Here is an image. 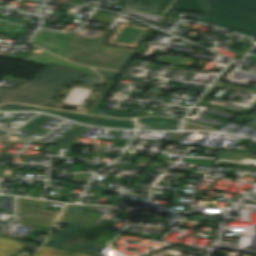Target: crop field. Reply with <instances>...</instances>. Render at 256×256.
<instances>
[{
    "mask_svg": "<svg viewBox=\"0 0 256 256\" xmlns=\"http://www.w3.org/2000/svg\"><path fill=\"white\" fill-rule=\"evenodd\" d=\"M85 74L50 64L15 91L0 88V104L2 102H19L47 107L55 92L65 88Z\"/></svg>",
    "mask_w": 256,
    "mask_h": 256,
    "instance_id": "1",
    "label": "crop field"
},
{
    "mask_svg": "<svg viewBox=\"0 0 256 256\" xmlns=\"http://www.w3.org/2000/svg\"><path fill=\"white\" fill-rule=\"evenodd\" d=\"M209 10L198 20L246 36H256V0H205Z\"/></svg>",
    "mask_w": 256,
    "mask_h": 256,
    "instance_id": "2",
    "label": "crop field"
},
{
    "mask_svg": "<svg viewBox=\"0 0 256 256\" xmlns=\"http://www.w3.org/2000/svg\"><path fill=\"white\" fill-rule=\"evenodd\" d=\"M84 208L80 205H66L58 223L67 225L54 241L48 240L46 244L105 256L109 248L78 236L91 214L84 212Z\"/></svg>",
    "mask_w": 256,
    "mask_h": 256,
    "instance_id": "3",
    "label": "crop field"
},
{
    "mask_svg": "<svg viewBox=\"0 0 256 256\" xmlns=\"http://www.w3.org/2000/svg\"><path fill=\"white\" fill-rule=\"evenodd\" d=\"M47 202L20 198L16 222L37 225L33 232L49 234L60 212L43 210Z\"/></svg>",
    "mask_w": 256,
    "mask_h": 256,
    "instance_id": "4",
    "label": "crop field"
},
{
    "mask_svg": "<svg viewBox=\"0 0 256 256\" xmlns=\"http://www.w3.org/2000/svg\"><path fill=\"white\" fill-rule=\"evenodd\" d=\"M73 37V34L55 33L41 30L37 33L31 43L64 57L80 50V48L68 47Z\"/></svg>",
    "mask_w": 256,
    "mask_h": 256,
    "instance_id": "5",
    "label": "crop field"
},
{
    "mask_svg": "<svg viewBox=\"0 0 256 256\" xmlns=\"http://www.w3.org/2000/svg\"><path fill=\"white\" fill-rule=\"evenodd\" d=\"M27 244L38 246L37 244L0 237V256H15L17 252ZM33 256H90V255H85V254L43 246Z\"/></svg>",
    "mask_w": 256,
    "mask_h": 256,
    "instance_id": "6",
    "label": "crop field"
},
{
    "mask_svg": "<svg viewBox=\"0 0 256 256\" xmlns=\"http://www.w3.org/2000/svg\"><path fill=\"white\" fill-rule=\"evenodd\" d=\"M171 0H128L123 11L160 15Z\"/></svg>",
    "mask_w": 256,
    "mask_h": 256,
    "instance_id": "7",
    "label": "crop field"
},
{
    "mask_svg": "<svg viewBox=\"0 0 256 256\" xmlns=\"http://www.w3.org/2000/svg\"><path fill=\"white\" fill-rule=\"evenodd\" d=\"M28 61L43 64V65H46L47 63L52 62V63H56V64L66 66V67H70V68H73V69H76V70H79V71H83V72H87V73H90V74L98 75L97 73H95L93 70H91L89 68H85V67L80 66V65L68 63V62H66V61H64V60L46 52V51H44V53L42 55L32 54Z\"/></svg>",
    "mask_w": 256,
    "mask_h": 256,
    "instance_id": "8",
    "label": "crop field"
},
{
    "mask_svg": "<svg viewBox=\"0 0 256 256\" xmlns=\"http://www.w3.org/2000/svg\"><path fill=\"white\" fill-rule=\"evenodd\" d=\"M178 120H173L164 117H148L139 119L140 127L144 129L157 130H176L179 125Z\"/></svg>",
    "mask_w": 256,
    "mask_h": 256,
    "instance_id": "9",
    "label": "crop field"
},
{
    "mask_svg": "<svg viewBox=\"0 0 256 256\" xmlns=\"http://www.w3.org/2000/svg\"><path fill=\"white\" fill-rule=\"evenodd\" d=\"M11 110H31V111H44L52 114H56L71 120H75L78 122H86L87 120L91 119L92 116H86V115H80V114H73V113H67V112H60V111H53V110H47V109H40V108H33V107H27V106H20V105H13L8 104L0 107V111H11Z\"/></svg>",
    "mask_w": 256,
    "mask_h": 256,
    "instance_id": "10",
    "label": "crop field"
},
{
    "mask_svg": "<svg viewBox=\"0 0 256 256\" xmlns=\"http://www.w3.org/2000/svg\"><path fill=\"white\" fill-rule=\"evenodd\" d=\"M177 9L205 13L208 8L204 0H180L168 16L174 17Z\"/></svg>",
    "mask_w": 256,
    "mask_h": 256,
    "instance_id": "11",
    "label": "crop field"
},
{
    "mask_svg": "<svg viewBox=\"0 0 256 256\" xmlns=\"http://www.w3.org/2000/svg\"><path fill=\"white\" fill-rule=\"evenodd\" d=\"M91 125L117 127V128H134L132 120H115L111 118L97 117L91 123Z\"/></svg>",
    "mask_w": 256,
    "mask_h": 256,
    "instance_id": "12",
    "label": "crop field"
},
{
    "mask_svg": "<svg viewBox=\"0 0 256 256\" xmlns=\"http://www.w3.org/2000/svg\"><path fill=\"white\" fill-rule=\"evenodd\" d=\"M50 118L51 117L39 115L36 118H34L33 120H31L30 122H28L20 130H24V131H28V132L43 135V134L47 133L49 130L41 129V128H38V127L41 126L46 121H48Z\"/></svg>",
    "mask_w": 256,
    "mask_h": 256,
    "instance_id": "13",
    "label": "crop field"
},
{
    "mask_svg": "<svg viewBox=\"0 0 256 256\" xmlns=\"http://www.w3.org/2000/svg\"><path fill=\"white\" fill-rule=\"evenodd\" d=\"M121 234L122 233L104 230L97 238L96 242L111 248Z\"/></svg>",
    "mask_w": 256,
    "mask_h": 256,
    "instance_id": "14",
    "label": "crop field"
},
{
    "mask_svg": "<svg viewBox=\"0 0 256 256\" xmlns=\"http://www.w3.org/2000/svg\"><path fill=\"white\" fill-rule=\"evenodd\" d=\"M95 112L104 116L123 117V118L144 116L141 114L128 113V112L109 110V109H103V108H97Z\"/></svg>",
    "mask_w": 256,
    "mask_h": 256,
    "instance_id": "15",
    "label": "crop field"
},
{
    "mask_svg": "<svg viewBox=\"0 0 256 256\" xmlns=\"http://www.w3.org/2000/svg\"><path fill=\"white\" fill-rule=\"evenodd\" d=\"M100 215L102 214H95V213L91 214L87 224L85 225L84 229L80 233V236L86 238L91 233V231L95 228L94 226H91V225L98 219Z\"/></svg>",
    "mask_w": 256,
    "mask_h": 256,
    "instance_id": "16",
    "label": "crop field"
},
{
    "mask_svg": "<svg viewBox=\"0 0 256 256\" xmlns=\"http://www.w3.org/2000/svg\"><path fill=\"white\" fill-rule=\"evenodd\" d=\"M77 83H84V84H90V85H97L101 86L102 80L99 77L92 76V75H85L84 77L80 78L76 81Z\"/></svg>",
    "mask_w": 256,
    "mask_h": 256,
    "instance_id": "17",
    "label": "crop field"
},
{
    "mask_svg": "<svg viewBox=\"0 0 256 256\" xmlns=\"http://www.w3.org/2000/svg\"><path fill=\"white\" fill-rule=\"evenodd\" d=\"M86 128H81L78 131H76L74 134L66 138L64 141H62L60 144H69V145H82L79 143H75L76 138L79 134H81Z\"/></svg>",
    "mask_w": 256,
    "mask_h": 256,
    "instance_id": "18",
    "label": "crop field"
},
{
    "mask_svg": "<svg viewBox=\"0 0 256 256\" xmlns=\"http://www.w3.org/2000/svg\"><path fill=\"white\" fill-rule=\"evenodd\" d=\"M97 72H99L103 78L113 80L114 77L117 75L116 72H110V71H104V70H98L95 69Z\"/></svg>",
    "mask_w": 256,
    "mask_h": 256,
    "instance_id": "19",
    "label": "crop field"
},
{
    "mask_svg": "<svg viewBox=\"0 0 256 256\" xmlns=\"http://www.w3.org/2000/svg\"><path fill=\"white\" fill-rule=\"evenodd\" d=\"M247 147H250V148L245 152L256 154V142L252 141L247 145Z\"/></svg>",
    "mask_w": 256,
    "mask_h": 256,
    "instance_id": "20",
    "label": "crop field"
},
{
    "mask_svg": "<svg viewBox=\"0 0 256 256\" xmlns=\"http://www.w3.org/2000/svg\"><path fill=\"white\" fill-rule=\"evenodd\" d=\"M127 142L115 141L113 146L124 147Z\"/></svg>",
    "mask_w": 256,
    "mask_h": 256,
    "instance_id": "21",
    "label": "crop field"
}]
</instances>
